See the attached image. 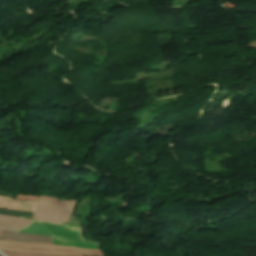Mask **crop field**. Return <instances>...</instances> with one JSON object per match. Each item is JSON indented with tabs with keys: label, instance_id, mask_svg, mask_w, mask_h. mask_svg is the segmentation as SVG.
<instances>
[{
	"label": "crop field",
	"instance_id": "obj_3",
	"mask_svg": "<svg viewBox=\"0 0 256 256\" xmlns=\"http://www.w3.org/2000/svg\"><path fill=\"white\" fill-rule=\"evenodd\" d=\"M0 249L23 251V252H37V253H54V254H88L103 256L99 250H83L65 248L54 245L45 244H21L7 241H0Z\"/></svg>",
	"mask_w": 256,
	"mask_h": 256
},
{
	"label": "crop field",
	"instance_id": "obj_4",
	"mask_svg": "<svg viewBox=\"0 0 256 256\" xmlns=\"http://www.w3.org/2000/svg\"><path fill=\"white\" fill-rule=\"evenodd\" d=\"M35 202H22L0 197V207L34 212ZM25 217V216H23ZM30 218V217H25ZM0 215V229L17 230L25 227L33 219H25Z\"/></svg>",
	"mask_w": 256,
	"mask_h": 256
},
{
	"label": "crop field",
	"instance_id": "obj_6",
	"mask_svg": "<svg viewBox=\"0 0 256 256\" xmlns=\"http://www.w3.org/2000/svg\"><path fill=\"white\" fill-rule=\"evenodd\" d=\"M8 256H68V255H54V254H29L14 251L1 250Z\"/></svg>",
	"mask_w": 256,
	"mask_h": 256
},
{
	"label": "crop field",
	"instance_id": "obj_2",
	"mask_svg": "<svg viewBox=\"0 0 256 256\" xmlns=\"http://www.w3.org/2000/svg\"><path fill=\"white\" fill-rule=\"evenodd\" d=\"M42 196L38 202V207L34 218L37 220L49 221L53 223H66L76 201L61 200Z\"/></svg>",
	"mask_w": 256,
	"mask_h": 256
},
{
	"label": "crop field",
	"instance_id": "obj_5",
	"mask_svg": "<svg viewBox=\"0 0 256 256\" xmlns=\"http://www.w3.org/2000/svg\"><path fill=\"white\" fill-rule=\"evenodd\" d=\"M0 239L20 241V242H32V243H45L51 244L50 237L40 235L21 234L12 231H1Z\"/></svg>",
	"mask_w": 256,
	"mask_h": 256
},
{
	"label": "crop field",
	"instance_id": "obj_1",
	"mask_svg": "<svg viewBox=\"0 0 256 256\" xmlns=\"http://www.w3.org/2000/svg\"><path fill=\"white\" fill-rule=\"evenodd\" d=\"M82 228L73 225H60L34 220L26 228L18 231L21 233L52 235V244L79 247L85 249H98L99 244L83 241L80 235Z\"/></svg>",
	"mask_w": 256,
	"mask_h": 256
},
{
	"label": "crop field",
	"instance_id": "obj_7",
	"mask_svg": "<svg viewBox=\"0 0 256 256\" xmlns=\"http://www.w3.org/2000/svg\"><path fill=\"white\" fill-rule=\"evenodd\" d=\"M39 197H32V196H23V195H18L16 198L17 200H31V201H37Z\"/></svg>",
	"mask_w": 256,
	"mask_h": 256
},
{
	"label": "crop field",
	"instance_id": "obj_8",
	"mask_svg": "<svg viewBox=\"0 0 256 256\" xmlns=\"http://www.w3.org/2000/svg\"><path fill=\"white\" fill-rule=\"evenodd\" d=\"M69 256H77V255H69Z\"/></svg>",
	"mask_w": 256,
	"mask_h": 256
},
{
	"label": "crop field",
	"instance_id": "obj_9",
	"mask_svg": "<svg viewBox=\"0 0 256 256\" xmlns=\"http://www.w3.org/2000/svg\"><path fill=\"white\" fill-rule=\"evenodd\" d=\"M1 256V255H0Z\"/></svg>",
	"mask_w": 256,
	"mask_h": 256
}]
</instances>
